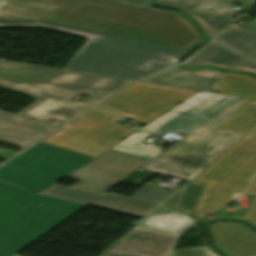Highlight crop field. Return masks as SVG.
<instances>
[{"label":"crop field","instance_id":"8a807250","mask_svg":"<svg viewBox=\"0 0 256 256\" xmlns=\"http://www.w3.org/2000/svg\"><path fill=\"white\" fill-rule=\"evenodd\" d=\"M93 157L40 142L0 167V256H14L86 204L38 194Z\"/></svg>","mask_w":256,"mask_h":256},{"label":"crop field","instance_id":"ac0d7876","mask_svg":"<svg viewBox=\"0 0 256 256\" xmlns=\"http://www.w3.org/2000/svg\"><path fill=\"white\" fill-rule=\"evenodd\" d=\"M0 19H42L186 49L204 40L185 16L107 0H3Z\"/></svg>","mask_w":256,"mask_h":256},{"label":"crop field","instance_id":"34b2d1b8","mask_svg":"<svg viewBox=\"0 0 256 256\" xmlns=\"http://www.w3.org/2000/svg\"><path fill=\"white\" fill-rule=\"evenodd\" d=\"M130 82L10 60L0 64V87L37 99L18 114L46 123H67L91 108L69 100L79 92L93 96L84 103L94 106Z\"/></svg>","mask_w":256,"mask_h":256},{"label":"crop field","instance_id":"412701ff","mask_svg":"<svg viewBox=\"0 0 256 256\" xmlns=\"http://www.w3.org/2000/svg\"><path fill=\"white\" fill-rule=\"evenodd\" d=\"M25 27H39L87 37V42L66 69L131 80H137L178 62L188 51L42 20H0V28Z\"/></svg>","mask_w":256,"mask_h":256},{"label":"crop field","instance_id":"f4fd0767","mask_svg":"<svg viewBox=\"0 0 256 256\" xmlns=\"http://www.w3.org/2000/svg\"><path fill=\"white\" fill-rule=\"evenodd\" d=\"M256 173V127L194 179L208 182L193 215L237 199Z\"/></svg>","mask_w":256,"mask_h":256},{"label":"crop field","instance_id":"dd49c442","mask_svg":"<svg viewBox=\"0 0 256 256\" xmlns=\"http://www.w3.org/2000/svg\"><path fill=\"white\" fill-rule=\"evenodd\" d=\"M251 99L242 98L183 140L166 150L155 161L200 173L243 136L216 128Z\"/></svg>","mask_w":256,"mask_h":256},{"label":"crop field","instance_id":"e52e79f7","mask_svg":"<svg viewBox=\"0 0 256 256\" xmlns=\"http://www.w3.org/2000/svg\"><path fill=\"white\" fill-rule=\"evenodd\" d=\"M119 120L102 109L94 108L43 142L96 157L136 131L115 123Z\"/></svg>","mask_w":256,"mask_h":256},{"label":"crop field","instance_id":"d8731c3e","mask_svg":"<svg viewBox=\"0 0 256 256\" xmlns=\"http://www.w3.org/2000/svg\"><path fill=\"white\" fill-rule=\"evenodd\" d=\"M197 92L138 81L99 106L121 117L147 124Z\"/></svg>","mask_w":256,"mask_h":256},{"label":"crop field","instance_id":"5a996713","mask_svg":"<svg viewBox=\"0 0 256 256\" xmlns=\"http://www.w3.org/2000/svg\"><path fill=\"white\" fill-rule=\"evenodd\" d=\"M239 99L241 97L200 91L140 130L159 136L168 131L189 134Z\"/></svg>","mask_w":256,"mask_h":256},{"label":"crop field","instance_id":"3316defc","mask_svg":"<svg viewBox=\"0 0 256 256\" xmlns=\"http://www.w3.org/2000/svg\"><path fill=\"white\" fill-rule=\"evenodd\" d=\"M147 162L149 160L109 149L68 177L81 180L73 188L104 193Z\"/></svg>","mask_w":256,"mask_h":256},{"label":"crop field","instance_id":"28ad6ade","mask_svg":"<svg viewBox=\"0 0 256 256\" xmlns=\"http://www.w3.org/2000/svg\"><path fill=\"white\" fill-rule=\"evenodd\" d=\"M41 194L86 204H93L99 207L127 213L141 218H143L148 212L157 206V204L136 200L121 195L93 193L56 184L47 188L41 192Z\"/></svg>","mask_w":256,"mask_h":256},{"label":"crop field","instance_id":"d1516ede","mask_svg":"<svg viewBox=\"0 0 256 256\" xmlns=\"http://www.w3.org/2000/svg\"><path fill=\"white\" fill-rule=\"evenodd\" d=\"M160 5L176 6L196 19L206 31L208 37H213L231 26L236 19H230L238 11L232 10L234 5L222 0H156Z\"/></svg>","mask_w":256,"mask_h":256},{"label":"crop field","instance_id":"22f410ed","mask_svg":"<svg viewBox=\"0 0 256 256\" xmlns=\"http://www.w3.org/2000/svg\"><path fill=\"white\" fill-rule=\"evenodd\" d=\"M174 238V234L134 227L103 254L165 256Z\"/></svg>","mask_w":256,"mask_h":256},{"label":"crop field","instance_id":"cbeb9de0","mask_svg":"<svg viewBox=\"0 0 256 256\" xmlns=\"http://www.w3.org/2000/svg\"><path fill=\"white\" fill-rule=\"evenodd\" d=\"M56 129L0 110V141L14 144L23 149Z\"/></svg>","mask_w":256,"mask_h":256},{"label":"crop field","instance_id":"5142ce71","mask_svg":"<svg viewBox=\"0 0 256 256\" xmlns=\"http://www.w3.org/2000/svg\"><path fill=\"white\" fill-rule=\"evenodd\" d=\"M217 246L229 256L256 255V233L235 222H217L209 226Z\"/></svg>","mask_w":256,"mask_h":256},{"label":"crop field","instance_id":"d9b57169","mask_svg":"<svg viewBox=\"0 0 256 256\" xmlns=\"http://www.w3.org/2000/svg\"><path fill=\"white\" fill-rule=\"evenodd\" d=\"M219 77L218 69L187 71L177 66L141 81L218 93Z\"/></svg>","mask_w":256,"mask_h":256},{"label":"crop field","instance_id":"733c2abd","mask_svg":"<svg viewBox=\"0 0 256 256\" xmlns=\"http://www.w3.org/2000/svg\"><path fill=\"white\" fill-rule=\"evenodd\" d=\"M245 58L226 48L225 46L212 42L195 56L192 57L186 68H200L204 66H215L232 70Z\"/></svg>","mask_w":256,"mask_h":256},{"label":"crop field","instance_id":"4a817a6b","mask_svg":"<svg viewBox=\"0 0 256 256\" xmlns=\"http://www.w3.org/2000/svg\"><path fill=\"white\" fill-rule=\"evenodd\" d=\"M194 220L195 218L160 206L140 222L139 226L180 233Z\"/></svg>","mask_w":256,"mask_h":256},{"label":"crop field","instance_id":"bc2a9ffb","mask_svg":"<svg viewBox=\"0 0 256 256\" xmlns=\"http://www.w3.org/2000/svg\"><path fill=\"white\" fill-rule=\"evenodd\" d=\"M217 41L247 56L256 50V19L241 29L230 28Z\"/></svg>","mask_w":256,"mask_h":256},{"label":"crop field","instance_id":"214f88e0","mask_svg":"<svg viewBox=\"0 0 256 256\" xmlns=\"http://www.w3.org/2000/svg\"><path fill=\"white\" fill-rule=\"evenodd\" d=\"M205 185V182L192 180L181 187L162 206L191 215Z\"/></svg>","mask_w":256,"mask_h":256},{"label":"crop field","instance_id":"92a150f3","mask_svg":"<svg viewBox=\"0 0 256 256\" xmlns=\"http://www.w3.org/2000/svg\"><path fill=\"white\" fill-rule=\"evenodd\" d=\"M219 93L256 98V79L245 74L221 72Z\"/></svg>","mask_w":256,"mask_h":256},{"label":"crop field","instance_id":"dafd665d","mask_svg":"<svg viewBox=\"0 0 256 256\" xmlns=\"http://www.w3.org/2000/svg\"><path fill=\"white\" fill-rule=\"evenodd\" d=\"M256 126V99H252L218 128L245 135Z\"/></svg>","mask_w":256,"mask_h":256},{"label":"crop field","instance_id":"00972430","mask_svg":"<svg viewBox=\"0 0 256 256\" xmlns=\"http://www.w3.org/2000/svg\"><path fill=\"white\" fill-rule=\"evenodd\" d=\"M149 135L151 134L137 131L111 149L151 160V158L159 154L158 146L154 142L149 145L140 143L141 140Z\"/></svg>","mask_w":256,"mask_h":256},{"label":"crop field","instance_id":"a9b5d70f","mask_svg":"<svg viewBox=\"0 0 256 256\" xmlns=\"http://www.w3.org/2000/svg\"><path fill=\"white\" fill-rule=\"evenodd\" d=\"M248 202H249V206L247 209L236 208L235 212H226L220 209L209 215L215 218L227 217V215H231V217L242 218L256 225V196L248 195Z\"/></svg>","mask_w":256,"mask_h":256},{"label":"crop field","instance_id":"4177f3b9","mask_svg":"<svg viewBox=\"0 0 256 256\" xmlns=\"http://www.w3.org/2000/svg\"><path fill=\"white\" fill-rule=\"evenodd\" d=\"M146 167L147 169L157 170L164 174L174 175V176H178V177L189 179V180L193 179L198 174V173L176 168V167L169 166V165L162 164L155 161H153L151 164H149Z\"/></svg>","mask_w":256,"mask_h":256},{"label":"crop field","instance_id":"730fd06b","mask_svg":"<svg viewBox=\"0 0 256 256\" xmlns=\"http://www.w3.org/2000/svg\"><path fill=\"white\" fill-rule=\"evenodd\" d=\"M169 256H218L208 247L188 248L171 251Z\"/></svg>","mask_w":256,"mask_h":256},{"label":"crop field","instance_id":"eef30255","mask_svg":"<svg viewBox=\"0 0 256 256\" xmlns=\"http://www.w3.org/2000/svg\"><path fill=\"white\" fill-rule=\"evenodd\" d=\"M112 1L131 4V5L145 7V8H150V9H155V10H160V9L153 7L149 0H112ZM161 11H166V12L177 13V14L183 15V13L179 12V11H171V10H161Z\"/></svg>","mask_w":256,"mask_h":256},{"label":"crop field","instance_id":"ae1a2a85","mask_svg":"<svg viewBox=\"0 0 256 256\" xmlns=\"http://www.w3.org/2000/svg\"><path fill=\"white\" fill-rule=\"evenodd\" d=\"M233 70L237 71H250L256 74V62L245 59Z\"/></svg>","mask_w":256,"mask_h":256},{"label":"crop field","instance_id":"d3111659","mask_svg":"<svg viewBox=\"0 0 256 256\" xmlns=\"http://www.w3.org/2000/svg\"><path fill=\"white\" fill-rule=\"evenodd\" d=\"M17 154V152H13V151H9V150H4V149H0V157H3V158H10L12 157L13 155ZM9 160V159H8Z\"/></svg>","mask_w":256,"mask_h":256},{"label":"crop field","instance_id":"750c4746","mask_svg":"<svg viewBox=\"0 0 256 256\" xmlns=\"http://www.w3.org/2000/svg\"><path fill=\"white\" fill-rule=\"evenodd\" d=\"M246 193L256 194V179L252 183L251 187Z\"/></svg>","mask_w":256,"mask_h":256},{"label":"crop field","instance_id":"bd1437ed","mask_svg":"<svg viewBox=\"0 0 256 256\" xmlns=\"http://www.w3.org/2000/svg\"><path fill=\"white\" fill-rule=\"evenodd\" d=\"M247 57L256 60V51L254 53H252L251 55L247 56Z\"/></svg>","mask_w":256,"mask_h":256},{"label":"crop field","instance_id":"1d83c4d3","mask_svg":"<svg viewBox=\"0 0 256 256\" xmlns=\"http://www.w3.org/2000/svg\"><path fill=\"white\" fill-rule=\"evenodd\" d=\"M101 256H109V255H101Z\"/></svg>","mask_w":256,"mask_h":256},{"label":"crop field","instance_id":"120bbe31","mask_svg":"<svg viewBox=\"0 0 256 256\" xmlns=\"http://www.w3.org/2000/svg\"><path fill=\"white\" fill-rule=\"evenodd\" d=\"M16 256H18V255H16Z\"/></svg>","mask_w":256,"mask_h":256}]
</instances>
